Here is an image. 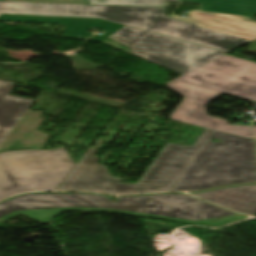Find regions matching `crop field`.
I'll use <instances>...</instances> for the list:
<instances>
[{
    "label": "crop field",
    "mask_w": 256,
    "mask_h": 256,
    "mask_svg": "<svg viewBox=\"0 0 256 256\" xmlns=\"http://www.w3.org/2000/svg\"><path fill=\"white\" fill-rule=\"evenodd\" d=\"M0 14L101 18L147 31L165 8L0 2Z\"/></svg>",
    "instance_id": "obj_6"
},
{
    "label": "crop field",
    "mask_w": 256,
    "mask_h": 256,
    "mask_svg": "<svg viewBox=\"0 0 256 256\" xmlns=\"http://www.w3.org/2000/svg\"><path fill=\"white\" fill-rule=\"evenodd\" d=\"M192 195L244 214L253 215L256 212V185L237 186Z\"/></svg>",
    "instance_id": "obj_12"
},
{
    "label": "crop field",
    "mask_w": 256,
    "mask_h": 256,
    "mask_svg": "<svg viewBox=\"0 0 256 256\" xmlns=\"http://www.w3.org/2000/svg\"><path fill=\"white\" fill-rule=\"evenodd\" d=\"M166 85L185 97L171 119L254 139L249 126H230L207 116L204 107L222 92L256 101V63L224 55ZM252 127L256 138V126Z\"/></svg>",
    "instance_id": "obj_2"
},
{
    "label": "crop field",
    "mask_w": 256,
    "mask_h": 256,
    "mask_svg": "<svg viewBox=\"0 0 256 256\" xmlns=\"http://www.w3.org/2000/svg\"><path fill=\"white\" fill-rule=\"evenodd\" d=\"M14 83L0 80V144L33 102L32 99L8 95Z\"/></svg>",
    "instance_id": "obj_13"
},
{
    "label": "crop field",
    "mask_w": 256,
    "mask_h": 256,
    "mask_svg": "<svg viewBox=\"0 0 256 256\" xmlns=\"http://www.w3.org/2000/svg\"><path fill=\"white\" fill-rule=\"evenodd\" d=\"M31 21V22H45L68 24L64 37L82 40L91 33L86 32L87 29L95 26L100 29L108 31L102 36L95 35L87 40L101 41L125 25L105 21L101 19H87V18H65V17H44V16H24V15H3L0 21Z\"/></svg>",
    "instance_id": "obj_10"
},
{
    "label": "crop field",
    "mask_w": 256,
    "mask_h": 256,
    "mask_svg": "<svg viewBox=\"0 0 256 256\" xmlns=\"http://www.w3.org/2000/svg\"><path fill=\"white\" fill-rule=\"evenodd\" d=\"M145 31H141L131 27H124L121 30L117 31L116 33L112 34L108 38H111L125 46H129L132 44L136 39H138Z\"/></svg>",
    "instance_id": "obj_16"
},
{
    "label": "crop field",
    "mask_w": 256,
    "mask_h": 256,
    "mask_svg": "<svg viewBox=\"0 0 256 256\" xmlns=\"http://www.w3.org/2000/svg\"><path fill=\"white\" fill-rule=\"evenodd\" d=\"M165 1H179V0H88V3L96 4V5H131V6L164 7Z\"/></svg>",
    "instance_id": "obj_15"
},
{
    "label": "crop field",
    "mask_w": 256,
    "mask_h": 256,
    "mask_svg": "<svg viewBox=\"0 0 256 256\" xmlns=\"http://www.w3.org/2000/svg\"><path fill=\"white\" fill-rule=\"evenodd\" d=\"M0 1L87 4V0H0Z\"/></svg>",
    "instance_id": "obj_17"
},
{
    "label": "crop field",
    "mask_w": 256,
    "mask_h": 256,
    "mask_svg": "<svg viewBox=\"0 0 256 256\" xmlns=\"http://www.w3.org/2000/svg\"><path fill=\"white\" fill-rule=\"evenodd\" d=\"M210 133V130L204 129L193 146L166 143L137 184L119 183V178L107 175L105 166L97 164L99 159L93 155L96 149H88L59 190L112 194L169 191Z\"/></svg>",
    "instance_id": "obj_3"
},
{
    "label": "crop field",
    "mask_w": 256,
    "mask_h": 256,
    "mask_svg": "<svg viewBox=\"0 0 256 256\" xmlns=\"http://www.w3.org/2000/svg\"><path fill=\"white\" fill-rule=\"evenodd\" d=\"M188 15V18L173 15L169 17L247 40H256V22L249 17L196 10H190Z\"/></svg>",
    "instance_id": "obj_9"
},
{
    "label": "crop field",
    "mask_w": 256,
    "mask_h": 256,
    "mask_svg": "<svg viewBox=\"0 0 256 256\" xmlns=\"http://www.w3.org/2000/svg\"><path fill=\"white\" fill-rule=\"evenodd\" d=\"M40 114V112L27 110L1 144L0 152L20 148L40 149L49 136L36 131L43 120L38 117Z\"/></svg>",
    "instance_id": "obj_11"
},
{
    "label": "crop field",
    "mask_w": 256,
    "mask_h": 256,
    "mask_svg": "<svg viewBox=\"0 0 256 256\" xmlns=\"http://www.w3.org/2000/svg\"><path fill=\"white\" fill-rule=\"evenodd\" d=\"M252 152L254 140L212 131L170 191L256 181V154Z\"/></svg>",
    "instance_id": "obj_4"
},
{
    "label": "crop field",
    "mask_w": 256,
    "mask_h": 256,
    "mask_svg": "<svg viewBox=\"0 0 256 256\" xmlns=\"http://www.w3.org/2000/svg\"><path fill=\"white\" fill-rule=\"evenodd\" d=\"M64 147L0 154V199L27 190H58L74 168Z\"/></svg>",
    "instance_id": "obj_5"
},
{
    "label": "crop field",
    "mask_w": 256,
    "mask_h": 256,
    "mask_svg": "<svg viewBox=\"0 0 256 256\" xmlns=\"http://www.w3.org/2000/svg\"><path fill=\"white\" fill-rule=\"evenodd\" d=\"M202 3L207 11L251 16L256 13V0H182Z\"/></svg>",
    "instance_id": "obj_14"
},
{
    "label": "crop field",
    "mask_w": 256,
    "mask_h": 256,
    "mask_svg": "<svg viewBox=\"0 0 256 256\" xmlns=\"http://www.w3.org/2000/svg\"><path fill=\"white\" fill-rule=\"evenodd\" d=\"M148 31L227 52L251 42L167 16L158 20Z\"/></svg>",
    "instance_id": "obj_8"
},
{
    "label": "crop field",
    "mask_w": 256,
    "mask_h": 256,
    "mask_svg": "<svg viewBox=\"0 0 256 256\" xmlns=\"http://www.w3.org/2000/svg\"><path fill=\"white\" fill-rule=\"evenodd\" d=\"M131 54L184 74L227 52L146 32L132 45Z\"/></svg>",
    "instance_id": "obj_7"
},
{
    "label": "crop field",
    "mask_w": 256,
    "mask_h": 256,
    "mask_svg": "<svg viewBox=\"0 0 256 256\" xmlns=\"http://www.w3.org/2000/svg\"><path fill=\"white\" fill-rule=\"evenodd\" d=\"M119 199V202L110 203L106 196L99 195L30 194L0 203V222L21 213L45 224L62 211L124 213L210 227L246 218L185 195L163 194ZM198 220L202 221L199 223Z\"/></svg>",
    "instance_id": "obj_1"
}]
</instances>
